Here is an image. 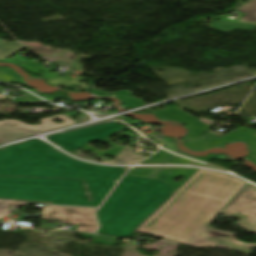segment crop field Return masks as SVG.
<instances>
[{
  "instance_id": "crop-field-1",
  "label": "crop field",
  "mask_w": 256,
  "mask_h": 256,
  "mask_svg": "<svg viewBox=\"0 0 256 256\" xmlns=\"http://www.w3.org/2000/svg\"><path fill=\"white\" fill-rule=\"evenodd\" d=\"M246 182L222 173L200 169L151 218L135 231L191 245L197 228L205 229ZM207 240L250 255L247 244L233 234L205 229Z\"/></svg>"
},
{
  "instance_id": "crop-field-2",
  "label": "crop field",
  "mask_w": 256,
  "mask_h": 256,
  "mask_svg": "<svg viewBox=\"0 0 256 256\" xmlns=\"http://www.w3.org/2000/svg\"><path fill=\"white\" fill-rule=\"evenodd\" d=\"M0 151V175L85 179L93 206H100L129 167H107L74 160L51 146L29 141ZM94 165V171L86 167Z\"/></svg>"
},
{
  "instance_id": "crop-field-3",
  "label": "crop field",
  "mask_w": 256,
  "mask_h": 256,
  "mask_svg": "<svg viewBox=\"0 0 256 256\" xmlns=\"http://www.w3.org/2000/svg\"><path fill=\"white\" fill-rule=\"evenodd\" d=\"M170 195L157 181L125 176L97 213L98 233L128 237Z\"/></svg>"
},
{
  "instance_id": "crop-field-4",
  "label": "crop field",
  "mask_w": 256,
  "mask_h": 256,
  "mask_svg": "<svg viewBox=\"0 0 256 256\" xmlns=\"http://www.w3.org/2000/svg\"><path fill=\"white\" fill-rule=\"evenodd\" d=\"M0 198L51 201V204L92 206L84 180L1 177Z\"/></svg>"
},
{
  "instance_id": "crop-field-5",
  "label": "crop field",
  "mask_w": 256,
  "mask_h": 256,
  "mask_svg": "<svg viewBox=\"0 0 256 256\" xmlns=\"http://www.w3.org/2000/svg\"><path fill=\"white\" fill-rule=\"evenodd\" d=\"M124 127L126 126L116 122H110L65 134L58 133L49 136L48 139L51 140L60 148L72 153L75 156L77 155L75 154L74 150L81 147L83 149L93 151L98 155L115 156V159L110 160L108 163L135 164L141 159L145 158L131 153L130 146L137 145L135 142H130L131 144L129 146H120L114 145L107 138V136L121 130ZM96 140L107 142L112 145V148L106 151H98L91 145H89L91 141Z\"/></svg>"
},
{
  "instance_id": "crop-field-6",
  "label": "crop field",
  "mask_w": 256,
  "mask_h": 256,
  "mask_svg": "<svg viewBox=\"0 0 256 256\" xmlns=\"http://www.w3.org/2000/svg\"><path fill=\"white\" fill-rule=\"evenodd\" d=\"M223 213L226 218H240L238 224L256 235V187L248 184Z\"/></svg>"
},
{
  "instance_id": "crop-field-7",
  "label": "crop field",
  "mask_w": 256,
  "mask_h": 256,
  "mask_svg": "<svg viewBox=\"0 0 256 256\" xmlns=\"http://www.w3.org/2000/svg\"><path fill=\"white\" fill-rule=\"evenodd\" d=\"M42 219L54 220L58 223L77 224V231L95 232L97 224L94 218L96 209L68 208L49 206L42 209Z\"/></svg>"
},
{
  "instance_id": "crop-field-8",
  "label": "crop field",
  "mask_w": 256,
  "mask_h": 256,
  "mask_svg": "<svg viewBox=\"0 0 256 256\" xmlns=\"http://www.w3.org/2000/svg\"><path fill=\"white\" fill-rule=\"evenodd\" d=\"M60 118L68 125L75 123L73 120L69 119L66 115H60L55 117H49L40 119L41 124L37 128H33L21 121L15 120H4L0 122V143L8 142L11 140L19 139L28 135L43 132L53 128H57L64 125H59L53 123L50 119Z\"/></svg>"
},
{
  "instance_id": "crop-field-9",
  "label": "crop field",
  "mask_w": 256,
  "mask_h": 256,
  "mask_svg": "<svg viewBox=\"0 0 256 256\" xmlns=\"http://www.w3.org/2000/svg\"><path fill=\"white\" fill-rule=\"evenodd\" d=\"M244 140L251 146V157L256 162V131L249 128L240 127L239 129L229 133L224 138L212 139V140H198L187 143V146L193 150H207L209 148L221 146L223 142Z\"/></svg>"
},
{
  "instance_id": "crop-field-10",
  "label": "crop field",
  "mask_w": 256,
  "mask_h": 256,
  "mask_svg": "<svg viewBox=\"0 0 256 256\" xmlns=\"http://www.w3.org/2000/svg\"><path fill=\"white\" fill-rule=\"evenodd\" d=\"M152 113L160 116L161 120L173 119L187 125L190 128L192 133L188 137H186V139H190V140L199 139L202 137V134L205 131L209 130L210 128L204 123L196 120L197 118L195 119L191 117L190 115L186 114L176 106L172 108L152 112Z\"/></svg>"
},
{
  "instance_id": "crop-field-11",
  "label": "crop field",
  "mask_w": 256,
  "mask_h": 256,
  "mask_svg": "<svg viewBox=\"0 0 256 256\" xmlns=\"http://www.w3.org/2000/svg\"><path fill=\"white\" fill-rule=\"evenodd\" d=\"M198 170L197 168H163L152 179L161 182L173 194ZM178 176L184 178L180 182L174 181L173 179Z\"/></svg>"
},
{
  "instance_id": "crop-field-12",
  "label": "crop field",
  "mask_w": 256,
  "mask_h": 256,
  "mask_svg": "<svg viewBox=\"0 0 256 256\" xmlns=\"http://www.w3.org/2000/svg\"><path fill=\"white\" fill-rule=\"evenodd\" d=\"M211 27L215 28L217 30L223 31V32H227V31H232L235 29L253 30L256 27V25L213 20Z\"/></svg>"
},
{
  "instance_id": "crop-field-13",
  "label": "crop field",
  "mask_w": 256,
  "mask_h": 256,
  "mask_svg": "<svg viewBox=\"0 0 256 256\" xmlns=\"http://www.w3.org/2000/svg\"><path fill=\"white\" fill-rule=\"evenodd\" d=\"M97 93L113 94V95H116V96L120 97L121 101L124 102L126 108L144 104V101L133 97L132 96L133 93L128 92V91H121V92H116V93H109V92H105V91H97Z\"/></svg>"
},
{
  "instance_id": "crop-field-14",
  "label": "crop field",
  "mask_w": 256,
  "mask_h": 256,
  "mask_svg": "<svg viewBox=\"0 0 256 256\" xmlns=\"http://www.w3.org/2000/svg\"><path fill=\"white\" fill-rule=\"evenodd\" d=\"M236 10L246 13L247 16L242 21L256 22V0H252Z\"/></svg>"
},
{
  "instance_id": "crop-field-15",
  "label": "crop field",
  "mask_w": 256,
  "mask_h": 256,
  "mask_svg": "<svg viewBox=\"0 0 256 256\" xmlns=\"http://www.w3.org/2000/svg\"><path fill=\"white\" fill-rule=\"evenodd\" d=\"M160 168H141L133 167L129 172L128 176L145 179L150 178Z\"/></svg>"
},
{
  "instance_id": "crop-field-16",
  "label": "crop field",
  "mask_w": 256,
  "mask_h": 256,
  "mask_svg": "<svg viewBox=\"0 0 256 256\" xmlns=\"http://www.w3.org/2000/svg\"><path fill=\"white\" fill-rule=\"evenodd\" d=\"M27 203L28 202H24V201L0 199V219H2L4 216H8L11 205L17 207L19 205H23Z\"/></svg>"
},
{
  "instance_id": "crop-field-17",
  "label": "crop field",
  "mask_w": 256,
  "mask_h": 256,
  "mask_svg": "<svg viewBox=\"0 0 256 256\" xmlns=\"http://www.w3.org/2000/svg\"><path fill=\"white\" fill-rule=\"evenodd\" d=\"M15 72L4 67H0V81L7 83H20L19 77L15 76Z\"/></svg>"
},
{
  "instance_id": "crop-field-18",
  "label": "crop field",
  "mask_w": 256,
  "mask_h": 256,
  "mask_svg": "<svg viewBox=\"0 0 256 256\" xmlns=\"http://www.w3.org/2000/svg\"><path fill=\"white\" fill-rule=\"evenodd\" d=\"M195 236L198 237V240L193 243L191 246H218V247H227V246H219V245H213V244H210L209 241H206V238H207V234L205 233L204 230L202 229H198L197 232L194 234ZM228 248V247H227Z\"/></svg>"
},
{
  "instance_id": "crop-field-19",
  "label": "crop field",
  "mask_w": 256,
  "mask_h": 256,
  "mask_svg": "<svg viewBox=\"0 0 256 256\" xmlns=\"http://www.w3.org/2000/svg\"><path fill=\"white\" fill-rule=\"evenodd\" d=\"M172 156H174V155H171V154H169V153L164 152V151L161 150L160 153L157 152V153H155L153 156H151V157H152V160H151V161L145 160V161H143V162L140 163V164H147V163H164V160H165V159H168V158H170V157H172Z\"/></svg>"
},
{
  "instance_id": "crop-field-20",
  "label": "crop field",
  "mask_w": 256,
  "mask_h": 256,
  "mask_svg": "<svg viewBox=\"0 0 256 256\" xmlns=\"http://www.w3.org/2000/svg\"><path fill=\"white\" fill-rule=\"evenodd\" d=\"M166 163H174V164H188V165H198V166H203V164L185 159V158H181V157H177V158H173L168 160Z\"/></svg>"
},
{
  "instance_id": "crop-field-21",
  "label": "crop field",
  "mask_w": 256,
  "mask_h": 256,
  "mask_svg": "<svg viewBox=\"0 0 256 256\" xmlns=\"http://www.w3.org/2000/svg\"><path fill=\"white\" fill-rule=\"evenodd\" d=\"M164 147H166V148H168V149H170V150H172V151H175V152H177V153H180V151H178V150L175 148L174 143H173V142H170V141H168V140L165 141Z\"/></svg>"
},
{
  "instance_id": "crop-field-22",
  "label": "crop field",
  "mask_w": 256,
  "mask_h": 256,
  "mask_svg": "<svg viewBox=\"0 0 256 256\" xmlns=\"http://www.w3.org/2000/svg\"><path fill=\"white\" fill-rule=\"evenodd\" d=\"M181 155H184V154H181ZM185 156H188V155H185ZM188 157H191V156H188ZM191 158H194V157H191ZM194 159L202 160V161H208L211 158H194Z\"/></svg>"
},
{
  "instance_id": "crop-field-23",
  "label": "crop field",
  "mask_w": 256,
  "mask_h": 256,
  "mask_svg": "<svg viewBox=\"0 0 256 256\" xmlns=\"http://www.w3.org/2000/svg\"><path fill=\"white\" fill-rule=\"evenodd\" d=\"M123 120L126 121V122H128L129 124H134V123H136V122H131L129 119H127V118H125V117H123Z\"/></svg>"
},
{
  "instance_id": "crop-field-24",
  "label": "crop field",
  "mask_w": 256,
  "mask_h": 256,
  "mask_svg": "<svg viewBox=\"0 0 256 256\" xmlns=\"http://www.w3.org/2000/svg\"><path fill=\"white\" fill-rule=\"evenodd\" d=\"M249 246V250H251V248L253 247V244L252 245H248Z\"/></svg>"
}]
</instances>
